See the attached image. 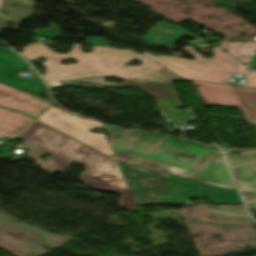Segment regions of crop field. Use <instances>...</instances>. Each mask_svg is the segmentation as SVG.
Segmentation results:
<instances>
[{"instance_id": "8a807250", "label": "crop field", "mask_w": 256, "mask_h": 256, "mask_svg": "<svg viewBox=\"0 0 256 256\" xmlns=\"http://www.w3.org/2000/svg\"><path fill=\"white\" fill-rule=\"evenodd\" d=\"M16 139L26 141L21 148L30 150L28 158L37 161L45 153L54 155L41 169L53 174L64 172L74 161L88 166L79 178L97 190L113 191L124 196L120 207L137 211L117 161L109 159L69 137L35 121ZM138 212V211H137Z\"/></svg>"}, {"instance_id": "ac0d7876", "label": "crop field", "mask_w": 256, "mask_h": 256, "mask_svg": "<svg viewBox=\"0 0 256 256\" xmlns=\"http://www.w3.org/2000/svg\"><path fill=\"white\" fill-rule=\"evenodd\" d=\"M102 127L111 129L108 134L112 135L109 140L114 152L112 158L185 178L200 163L179 158L181 154L187 155L190 153L195 160H203L209 153L221 154L216 146L203 145L197 141L168 136L150 155H147L165 135L144 131L146 133L143 137L129 146L143 131L134 130V132H129L106 124H103ZM188 162L189 164H187Z\"/></svg>"}, {"instance_id": "34b2d1b8", "label": "crop field", "mask_w": 256, "mask_h": 256, "mask_svg": "<svg viewBox=\"0 0 256 256\" xmlns=\"http://www.w3.org/2000/svg\"><path fill=\"white\" fill-rule=\"evenodd\" d=\"M45 45H31L23 48L20 53L26 59L32 61L39 57H46L49 61L43 66L46 72L60 81L88 78L94 76L116 77L134 79L136 77L163 69L151 59L137 54L131 50H117L112 48H94L93 54L80 53V44L74 45L68 55H60L44 48ZM76 59L78 63L71 67L59 64L60 61ZM138 60L143 64L140 67L121 66L132 60ZM63 72L69 73L62 76Z\"/></svg>"}, {"instance_id": "412701ff", "label": "crop field", "mask_w": 256, "mask_h": 256, "mask_svg": "<svg viewBox=\"0 0 256 256\" xmlns=\"http://www.w3.org/2000/svg\"><path fill=\"white\" fill-rule=\"evenodd\" d=\"M118 163L137 205H185L189 198L206 197L199 182Z\"/></svg>"}, {"instance_id": "f4fd0767", "label": "crop field", "mask_w": 256, "mask_h": 256, "mask_svg": "<svg viewBox=\"0 0 256 256\" xmlns=\"http://www.w3.org/2000/svg\"><path fill=\"white\" fill-rule=\"evenodd\" d=\"M196 60L179 59L170 56L154 57L149 52L143 53L155 62L184 79L213 81L227 84L233 75L244 65L220 50L213 48L214 59L205 60L194 52L192 47L185 48Z\"/></svg>"}, {"instance_id": "dd49c442", "label": "crop field", "mask_w": 256, "mask_h": 256, "mask_svg": "<svg viewBox=\"0 0 256 256\" xmlns=\"http://www.w3.org/2000/svg\"><path fill=\"white\" fill-rule=\"evenodd\" d=\"M38 120L109 157L113 154L104 135L89 132L92 128L101 127L103 123L73 116L54 106Z\"/></svg>"}, {"instance_id": "e52e79f7", "label": "crop field", "mask_w": 256, "mask_h": 256, "mask_svg": "<svg viewBox=\"0 0 256 256\" xmlns=\"http://www.w3.org/2000/svg\"><path fill=\"white\" fill-rule=\"evenodd\" d=\"M104 78H93L86 80L73 81L63 84H74V85H91V86H103V87H132L135 88L144 94L150 95L156 98V101L159 105L156 109H162L166 117H171L177 121L180 125L187 124L190 120H195L192 114V107H189V110L185 111H176L177 108L182 107L181 103L174 91V87L171 82H164V88L167 92L170 104H168L163 89L160 85L161 82H140L125 80L124 84H103Z\"/></svg>"}, {"instance_id": "d8731c3e", "label": "crop field", "mask_w": 256, "mask_h": 256, "mask_svg": "<svg viewBox=\"0 0 256 256\" xmlns=\"http://www.w3.org/2000/svg\"><path fill=\"white\" fill-rule=\"evenodd\" d=\"M191 84L198 89L205 105H220L238 108L242 111V114L248 123L251 125L255 124L250 114L246 110L235 87L196 81H193Z\"/></svg>"}, {"instance_id": "5a996713", "label": "crop field", "mask_w": 256, "mask_h": 256, "mask_svg": "<svg viewBox=\"0 0 256 256\" xmlns=\"http://www.w3.org/2000/svg\"><path fill=\"white\" fill-rule=\"evenodd\" d=\"M3 49L6 48H0V50ZM27 67L30 66L13 52L0 56V83L6 84L37 98H41L42 94L45 92L41 78H35L19 83H12L4 78L6 74Z\"/></svg>"}, {"instance_id": "3316defc", "label": "crop field", "mask_w": 256, "mask_h": 256, "mask_svg": "<svg viewBox=\"0 0 256 256\" xmlns=\"http://www.w3.org/2000/svg\"><path fill=\"white\" fill-rule=\"evenodd\" d=\"M20 91V90H19ZM0 84V106L22 111L36 118L50 103ZM33 113L31 115L30 113Z\"/></svg>"}, {"instance_id": "28ad6ade", "label": "crop field", "mask_w": 256, "mask_h": 256, "mask_svg": "<svg viewBox=\"0 0 256 256\" xmlns=\"http://www.w3.org/2000/svg\"><path fill=\"white\" fill-rule=\"evenodd\" d=\"M189 178L235 189L234 182L222 157L208 158Z\"/></svg>"}, {"instance_id": "d1516ede", "label": "crop field", "mask_w": 256, "mask_h": 256, "mask_svg": "<svg viewBox=\"0 0 256 256\" xmlns=\"http://www.w3.org/2000/svg\"><path fill=\"white\" fill-rule=\"evenodd\" d=\"M242 192L256 196V157L227 155Z\"/></svg>"}, {"instance_id": "22f410ed", "label": "crop field", "mask_w": 256, "mask_h": 256, "mask_svg": "<svg viewBox=\"0 0 256 256\" xmlns=\"http://www.w3.org/2000/svg\"><path fill=\"white\" fill-rule=\"evenodd\" d=\"M32 120L33 119L22 113L0 108V139H13L28 126Z\"/></svg>"}, {"instance_id": "cbeb9de0", "label": "crop field", "mask_w": 256, "mask_h": 256, "mask_svg": "<svg viewBox=\"0 0 256 256\" xmlns=\"http://www.w3.org/2000/svg\"><path fill=\"white\" fill-rule=\"evenodd\" d=\"M187 32L189 31L167 22H161L141 41L146 44L172 46L171 43L174 40L182 38V36Z\"/></svg>"}, {"instance_id": "5142ce71", "label": "crop field", "mask_w": 256, "mask_h": 256, "mask_svg": "<svg viewBox=\"0 0 256 256\" xmlns=\"http://www.w3.org/2000/svg\"><path fill=\"white\" fill-rule=\"evenodd\" d=\"M218 48L228 51V54L248 64L249 60L256 51V42H223Z\"/></svg>"}, {"instance_id": "d9b57169", "label": "crop field", "mask_w": 256, "mask_h": 256, "mask_svg": "<svg viewBox=\"0 0 256 256\" xmlns=\"http://www.w3.org/2000/svg\"><path fill=\"white\" fill-rule=\"evenodd\" d=\"M203 184V183H202ZM206 196L215 204H242L237 193L203 184Z\"/></svg>"}, {"instance_id": "733c2abd", "label": "crop field", "mask_w": 256, "mask_h": 256, "mask_svg": "<svg viewBox=\"0 0 256 256\" xmlns=\"http://www.w3.org/2000/svg\"><path fill=\"white\" fill-rule=\"evenodd\" d=\"M239 94L241 95L244 104L256 122V89L236 87ZM227 152H245V153H256V148L252 149H228Z\"/></svg>"}, {"instance_id": "4a817a6b", "label": "crop field", "mask_w": 256, "mask_h": 256, "mask_svg": "<svg viewBox=\"0 0 256 256\" xmlns=\"http://www.w3.org/2000/svg\"><path fill=\"white\" fill-rule=\"evenodd\" d=\"M136 79L148 80V81H160V80H172V79H180V78L163 69V70H160Z\"/></svg>"}, {"instance_id": "bc2a9ffb", "label": "crop field", "mask_w": 256, "mask_h": 256, "mask_svg": "<svg viewBox=\"0 0 256 256\" xmlns=\"http://www.w3.org/2000/svg\"><path fill=\"white\" fill-rule=\"evenodd\" d=\"M50 26H51V29L34 31V32H31V33L36 35V36H48L49 38H58V37H60L59 31H58L56 25L53 24V25H50Z\"/></svg>"}, {"instance_id": "214f88e0", "label": "crop field", "mask_w": 256, "mask_h": 256, "mask_svg": "<svg viewBox=\"0 0 256 256\" xmlns=\"http://www.w3.org/2000/svg\"><path fill=\"white\" fill-rule=\"evenodd\" d=\"M245 79H246V84H232V85H240V86H248V87L256 88V72H253L249 76L245 77Z\"/></svg>"}, {"instance_id": "92a150f3", "label": "crop field", "mask_w": 256, "mask_h": 256, "mask_svg": "<svg viewBox=\"0 0 256 256\" xmlns=\"http://www.w3.org/2000/svg\"><path fill=\"white\" fill-rule=\"evenodd\" d=\"M86 44L98 45V46H110V43L107 40L93 39V38H87V43Z\"/></svg>"}, {"instance_id": "dafd665d", "label": "crop field", "mask_w": 256, "mask_h": 256, "mask_svg": "<svg viewBox=\"0 0 256 256\" xmlns=\"http://www.w3.org/2000/svg\"><path fill=\"white\" fill-rule=\"evenodd\" d=\"M246 204L249 208L256 210V197L243 194Z\"/></svg>"}, {"instance_id": "00972430", "label": "crop field", "mask_w": 256, "mask_h": 256, "mask_svg": "<svg viewBox=\"0 0 256 256\" xmlns=\"http://www.w3.org/2000/svg\"><path fill=\"white\" fill-rule=\"evenodd\" d=\"M44 77L48 81L49 86L63 85L60 81H58L56 78L52 77L49 74L45 75Z\"/></svg>"}, {"instance_id": "a9b5d70f", "label": "crop field", "mask_w": 256, "mask_h": 256, "mask_svg": "<svg viewBox=\"0 0 256 256\" xmlns=\"http://www.w3.org/2000/svg\"><path fill=\"white\" fill-rule=\"evenodd\" d=\"M14 145H12L10 143V145L3 151L1 152V155H0V160H5V159H11V157H9V150L13 147Z\"/></svg>"}, {"instance_id": "4177f3b9", "label": "crop field", "mask_w": 256, "mask_h": 256, "mask_svg": "<svg viewBox=\"0 0 256 256\" xmlns=\"http://www.w3.org/2000/svg\"><path fill=\"white\" fill-rule=\"evenodd\" d=\"M20 71H22V70H20ZM5 78L10 80V81H12V82H18V81H22L23 80L22 78H19L17 75H15V73H12L10 75H6Z\"/></svg>"}, {"instance_id": "730fd06b", "label": "crop field", "mask_w": 256, "mask_h": 256, "mask_svg": "<svg viewBox=\"0 0 256 256\" xmlns=\"http://www.w3.org/2000/svg\"><path fill=\"white\" fill-rule=\"evenodd\" d=\"M255 36H256V31L249 30L244 37H247L249 41H251V39Z\"/></svg>"}, {"instance_id": "eef30255", "label": "crop field", "mask_w": 256, "mask_h": 256, "mask_svg": "<svg viewBox=\"0 0 256 256\" xmlns=\"http://www.w3.org/2000/svg\"><path fill=\"white\" fill-rule=\"evenodd\" d=\"M250 71H247V70H244V69H240L237 73H236V75H246V74H248Z\"/></svg>"}, {"instance_id": "ae1a2a85", "label": "crop field", "mask_w": 256, "mask_h": 256, "mask_svg": "<svg viewBox=\"0 0 256 256\" xmlns=\"http://www.w3.org/2000/svg\"><path fill=\"white\" fill-rule=\"evenodd\" d=\"M250 66L256 69V55H255L254 59L252 60Z\"/></svg>"}, {"instance_id": "d3111659", "label": "crop field", "mask_w": 256, "mask_h": 256, "mask_svg": "<svg viewBox=\"0 0 256 256\" xmlns=\"http://www.w3.org/2000/svg\"><path fill=\"white\" fill-rule=\"evenodd\" d=\"M11 51H12V50H9V49L0 51V55H1V54H5V53H8V52H11Z\"/></svg>"}, {"instance_id": "750c4746", "label": "crop field", "mask_w": 256, "mask_h": 256, "mask_svg": "<svg viewBox=\"0 0 256 256\" xmlns=\"http://www.w3.org/2000/svg\"><path fill=\"white\" fill-rule=\"evenodd\" d=\"M161 85H162V83H161ZM162 87H163V85H162ZM164 89V88H163ZM164 92H165V90H164ZM165 94H166V92H165ZM167 97V96H166ZM167 100H168V98H167ZM168 102H169V100H168ZM170 103V102H169Z\"/></svg>"}, {"instance_id": "bd1437ed", "label": "crop field", "mask_w": 256, "mask_h": 256, "mask_svg": "<svg viewBox=\"0 0 256 256\" xmlns=\"http://www.w3.org/2000/svg\"><path fill=\"white\" fill-rule=\"evenodd\" d=\"M176 41H177V40H176ZM176 41H174V42L172 43L173 46H174V44H175Z\"/></svg>"}, {"instance_id": "1d83c4d3", "label": "crop field", "mask_w": 256, "mask_h": 256, "mask_svg": "<svg viewBox=\"0 0 256 256\" xmlns=\"http://www.w3.org/2000/svg\"><path fill=\"white\" fill-rule=\"evenodd\" d=\"M67 73H63V75H66Z\"/></svg>"}, {"instance_id": "120bbe31", "label": "crop field", "mask_w": 256, "mask_h": 256, "mask_svg": "<svg viewBox=\"0 0 256 256\" xmlns=\"http://www.w3.org/2000/svg\"><path fill=\"white\" fill-rule=\"evenodd\" d=\"M81 49H82V46H81ZM81 49H80V51H81Z\"/></svg>"}, {"instance_id": "d32e631a", "label": "crop field", "mask_w": 256, "mask_h": 256, "mask_svg": "<svg viewBox=\"0 0 256 256\" xmlns=\"http://www.w3.org/2000/svg\"><path fill=\"white\" fill-rule=\"evenodd\" d=\"M0 4H1V0H0Z\"/></svg>"}, {"instance_id": "5866460e", "label": "crop field", "mask_w": 256, "mask_h": 256, "mask_svg": "<svg viewBox=\"0 0 256 256\" xmlns=\"http://www.w3.org/2000/svg\"><path fill=\"white\" fill-rule=\"evenodd\" d=\"M71 66H73V65H71Z\"/></svg>"}, {"instance_id": "028f5c9d", "label": "crop field", "mask_w": 256, "mask_h": 256, "mask_svg": "<svg viewBox=\"0 0 256 256\" xmlns=\"http://www.w3.org/2000/svg\"><path fill=\"white\" fill-rule=\"evenodd\" d=\"M46 47V46H45ZM47 48V47H46Z\"/></svg>"}, {"instance_id": "e1f06a70", "label": "crop field", "mask_w": 256, "mask_h": 256, "mask_svg": "<svg viewBox=\"0 0 256 256\" xmlns=\"http://www.w3.org/2000/svg\"><path fill=\"white\" fill-rule=\"evenodd\" d=\"M45 59V58H44Z\"/></svg>"}]
</instances>
